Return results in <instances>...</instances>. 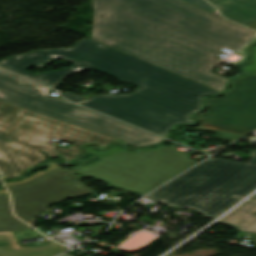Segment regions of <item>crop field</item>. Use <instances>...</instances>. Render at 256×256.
<instances>
[{
  "label": "crop field",
  "instance_id": "obj_14",
  "mask_svg": "<svg viewBox=\"0 0 256 256\" xmlns=\"http://www.w3.org/2000/svg\"><path fill=\"white\" fill-rule=\"evenodd\" d=\"M92 94H94V93H91L90 95H88V96L82 98V97H80V96H78V95H76V94H74V93L68 92L64 97H65L66 99H68V100H71V101H73V102H75V103H78V102L84 100L85 98L91 96Z\"/></svg>",
  "mask_w": 256,
  "mask_h": 256
},
{
  "label": "crop field",
  "instance_id": "obj_1",
  "mask_svg": "<svg viewBox=\"0 0 256 256\" xmlns=\"http://www.w3.org/2000/svg\"><path fill=\"white\" fill-rule=\"evenodd\" d=\"M92 40L223 91L215 54L235 51L256 33L179 0H91Z\"/></svg>",
  "mask_w": 256,
  "mask_h": 256
},
{
  "label": "crop field",
  "instance_id": "obj_15",
  "mask_svg": "<svg viewBox=\"0 0 256 256\" xmlns=\"http://www.w3.org/2000/svg\"><path fill=\"white\" fill-rule=\"evenodd\" d=\"M49 166H50V167L47 168V170H45V171H43V172L40 171V172L36 173L34 176H32V177H30V178H28V179H26V180H24V181L16 182V183L26 182V181H28V180H30V179H33V178H35V177H37V176H39V175H41V174H43V173H46V172H48V171H50V170H52V169L58 167V165H56L55 163H49ZM9 184H15V183H7L6 185H9Z\"/></svg>",
  "mask_w": 256,
  "mask_h": 256
},
{
  "label": "crop field",
  "instance_id": "obj_20",
  "mask_svg": "<svg viewBox=\"0 0 256 256\" xmlns=\"http://www.w3.org/2000/svg\"><path fill=\"white\" fill-rule=\"evenodd\" d=\"M0 178H1V176H0Z\"/></svg>",
  "mask_w": 256,
  "mask_h": 256
},
{
  "label": "crop field",
  "instance_id": "obj_12",
  "mask_svg": "<svg viewBox=\"0 0 256 256\" xmlns=\"http://www.w3.org/2000/svg\"><path fill=\"white\" fill-rule=\"evenodd\" d=\"M31 230L11 213L8 194L0 195V233Z\"/></svg>",
  "mask_w": 256,
  "mask_h": 256
},
{
  "label": "crop field",
  "instance_id": "obj_17",
  "mask_svg": "<svg viewBox=\"0 0 256 256\" xmlns=\"http://www.w3.org/2000/svg\"><path fill=\"white\" fill-rule=\"evenodd\" d=\"M47 222V220H43V219H38V218H35L34 220H32L30 223V225H40V224H43Z\"/></svg>",
  "mask_w": 256,
  "mask_h": 256
},
{
  "label": "crop field",
  "instance_id": "obj_2",
  "mask_svg": "<svg viewBox=\"0 0 256 256\" xmlns=\"http://www.w3.org/2000/svg\"><path fill=\"white\" fill-rule=\"evenodd\" d=\"M58 57L75 64L37 76L25 71L32 65L41 68ZM0 66L51 87L68 74L85 68L131 82L140 88L127 95L93 96L81 105L163 137L173 126L193 122L191 115L202 109L206 95L219 94L215 89L92 40L77 42L72 49L36 50L18 55L1 61Z\"/></svg>",
  "mask_w": 256,
  "mask_h": 256
},
{
  "label": "crop field",
  "instance_id": "obj_19",
  "mask_svg": "<svg viewBox=\"0 0 256 256\" xmlns=\"http://www.w3.org/2000/svg\"><path fill=\"white\" fill-rule=\"evenodd\" d=\"M62 256H70V255H68V254H65V255H62Z\"/></svg>",
  "mask_w": 256,
  "mask_h": 256
},
{
  "label": "crop field",
  "instance_id": "obj_10",
  "mask_svg": "<svg viewBox=\"0 0 256 256\" xmlns=\"http://www.w3.org/2000/svg\"><path fill=\"white\" fill-rule=\"evenodd\" d=\"M64 251L67 249L54 241L43 247H22L12 233L0 234V256H54Z\"/></svg>",
  "mask_w": 256,
  "mask_h": 256
},
{
  "label": "crop field",
  "instance_id": "obj_11",
  "mask_svg": "<svg viewBox=\"0 0 256 256\" xmlns=\"http://www.w3.org/2000/svg\"><path fill=\"white\" fill-rule=\"evenodd\" d=\"M251 199L255 201L244 204L221 223L237 228L241 232L256 233V216L250 215L256 211V195Z\"/></svg>",
  "mask_w": 256,
  "mask_h": 256
},
{
  "label": "crop field",
  "instance_id": "obj_18",
  "mask_svg": "<svg viewBox=\"0 0 256 256\" xmlns=\"http://www.w3.org/2000/svg\"><path fill=\"white\" fill-rule=\"evenodd\" d=\"M0 193H7L6 190H0Z\"/></svg>",
  "mask_w": 256,
  "mask_h": 256
},
{
  "label": "crop field",
  "instance_id": "obj_4",
  "mask_svg": "<svg viewBox=\"0 0 256 256\" xmlns=\"http://www.w3.org/2000/svg\"><path fill=\"white\" fill-rule=\"evenodd\" d=\"M251 154L248 163L211 158L146 197L212 218L256 187V152Z\"/></svg>",
  "mask_w": 256,
  "mask_h": 256
},
{
  "label": "crop field",
  "instance_id": "obj_7",
  "mask_svg": "<svg viewBox=\"0 0 256 256\" xmlns=\"http://www.w3.org/2000/svg\"><path fill=\"white\" fill-rule=\"evenodd\" d=\"M209 108L200 114V125L186 130L216 132L214 138L235 140L256 129V75L234 81L224 97L207 101Z\"/></svg>",
  "mask_w": 256,
  "mask_h": 256
},
{
  "label": "crop field",
  "instance_id": "obj_8",
  "mask_svg": "<svg viewBox=\"0 0 256 256\" xmlns=\"http://www.w3.org/2000/svg\"><path fill=\"white\" fill-rule=\"evenodd\" d=\"M15 216L28 223L51 204L93 192L74 175L58 167L26 183L6 186Z\"/></svg>",
  "mask_w": 256,
  "mask_h": 256
},
{
  "label": "crop field",
  "instance_id": "obj_3",
  "mask_svg": "<svg viewBox=\"0 0 256 256\" xmlns=\"http://www.w3.org/2000/svg\"><path fill=\"white\" fill-rule=\"evenodd\" d=\"M54 138L74 144L67 150L55 147L68 161L81 155L79 147L85 143L106 147L117 141L0 101V170L6 179L18 177L26 168L45 160L37 149L50 158L59 155L47 144Z\"/></svg>",
  "mask_w": 256,
  "mask_h": 256
},
{
  "label": "crop field",
  "instance_id": "obj_9",
  "mask_svg": "<svg viewBox=\"0 0 256 256\" xmlns=\"http://www.w3.org/2000/svg\"><path fill=\"white\" fill-rule=\"evenodd\" d=\"M221 14L256 30V0H208Z\"/></svg>",
  "mask_w": 256,
  "mask_h": 256
},
{
  "label": "crop field",
  "instance_id": "obj_6",
  "mask_svg": "<svg viewBox=\"0 0 256 256\" xmlns=\"http://www.w3.org/2000/svg\"><path fill=\"white\" fill-rule=\"evenodd\" d=\"M51 89L0 68V100L57 120L121 139L133 146L152 145L163 139L101 114L51 97Z\"/></svg>",
  "mask_w": 256,
  "mask_h": 256
},
{
  "label": "crop field",
  "instance_id": "obj_5",
  "mask_svg": "<svg viewBox=\"0 0 256 256\" xmlns=\"http://www.w3.org/2000/svg\"><path fill=\"white\" fill-rule=\"evenodd\" d=\"M85 152L98 153L100 159L71 170L142 195L198 162L190 159L192 155L166 146L135 152H126L117 145L105 152L86 147Z\"/></svg>",
  "mask_w": 256,
  "mask_h": 256
},
{
  "label": "crop field",
  "instance_id": "obj_13",
  "mask_svg": "<svg viewBox=\"0 0 256 256\" xmlns=\"http://www.w3.org/2000/svg\"><path fill=\"white\" fill-rule=\"evenodd\" d=\"M184 1H187L193 5L203 8L207 11L214 10V8H212L210 5H208L204 0H184Z\"/></svg>",
  "mask_w": 256,
  "mask_h": 256
},
{
  "label": "crop field",
  "instance_id": "obj_16",
  "mask_svg": "<svg viewBox=\"0 0 256 256\" xmlns=\"http://www.w3.org/2000/svg\"><path fill=\"white\" fill-rule=\"evenodd\" d=\"M255 54H254V63L249 65L248 67L242 69L244 71H249L251 74H256V46L253 47Z\"/></svg>",
  "mask_w": 256,
  "mask_h": 256
}]
</instances>
